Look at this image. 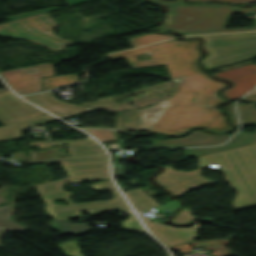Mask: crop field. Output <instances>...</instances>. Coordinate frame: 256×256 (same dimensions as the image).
Masks as SVG:
<instances>
[{
	"label": "crop field",
	"instance_id": "bc2a9ffb",
	"mask_svg": "<svg viewBox=\"0 0 256 256\" xmlns=\"http://www.w3.org/2000/svg\"><path fill=\"white\" fill-rule=\"evenodd\" d=\"M189 244L191 246H202V247H205L206 249H214L213 256H232L233 255V253L229 252L224 246V244L226 245L231 244V242L226 239L210 240V241H204V242L192 241V242H189ZM169 249L179 250L185 253H189L192 251L190 246L187 243L169 247Z\"/></svg>",
	"mask_w": 256,
	"mask_h": 256
},
{
	"label": "crop field",
	"instance_id": "cbeb9de0",
	"mask_svg": "<svg viewBox=\"0 0 256 256\" xmlns=\"http://www.w3.org/2000/svg\"><path fill=\"white\" fill-rule=\"evenodd\" d=\"M23 98L52 112L54 115H57L63 119L69 118L74 115H79V114L97 110V109L85 108V107L75 106L72 104L62 103L52 98L51 91L23 96Z\"/></svg>",
	"mask_w": 256,
	"mask_h": 256
},
{
	"label": "crop field",
	"instance_id": "d1516ede",
	"mask_svg": "<svg viewBox=\"0 0 256 256\" xmlns=\"http://www.w3.org/2000/svg\"><path fill=\"white\" fill-rule=\"evenodd\" d=\"M213 75L233 81L234 87L224 90L223 93L230 99L237 98L256 85V64L214 73Z\"/></svg>",
	"mask_w": 256,
	"mask_h": 256
},
{
	"label": "crop field",
	"instance_id": "e1f06a70",
	"mask_svg": "<svg viewBox=\"0 0 256 256\" xmlns=\"http://www.w3.org/2000/svg\"><path fill=\"white\" fill-rule=\"evenodd\" d=\"M96 150H97V154L104 152L103 148L100 146L96 147Z\"/></svg>",
	"mask_w": 256,
	"mask_h": 256
},
{
	"label": "crop field",
	"instance_id": "bd1437ed",
	"mask_svg": "<svg viewBox=\"0 0 256 256\" xmlns=\"http://www.w3.org/2000/svg\"><path fill=\"white\" fill-rule=\"evenodd\" d=\"M168 100L160 102L162 104V108H161L160 112L154 113V114H146V115H144L143 121L154 122L160 116V114L168 107L167 106Z\"/></svg>",
	"mask_w": 256,
	"mask_h": 256
},
{
	"label": "crop field",
	"instance_id": "0bd39190",
	"mask_svg": "<svg viewBox=\"0 0 256 256\" xmlns=\"http://www.w3.org/2000/svg\"><path fill=\"white\" fill-rule=\"evenodd\" d=\"M252 94H256V89L253 90L252 92H250L248 95H252ZM248 95H247V96H248Z\"/></svg>",
	"mask_w": 256,
	"mask_h": 256
},
{
	"label": "crop field",
	"instance_id": "5142ce71",
	"mask_svg": "<svg viewBox=\"0 0 256 256\" xmlns=\"http://www.w3.org/2000/svg\"><path fill=\"white\" fill-rule=\"evenodd\" d=\"M139 216L148 226L150 231L167 247L194 240L198 237L197 232L201 229L199 226L191 229H175L157 224L151 220H146L140 214Z\"/></svg>",
	"mask_w": 256,
	"mask_h": 256
},
{
	"label": "crop field",
	"instance_id": "dafd665d",
	"mask_svg": "<svg viewBox=\"0 0 256 256\" xmlns=\"http://www.w3.org/2000/svg\"><path fill=\"white\" fill-rule=\"evenodd\" d=\"M42 80H43L44 90L53 89L62 84L78 82L77 74L52 77V78H42Z\"/></svg>",
	"mask_w": 256,
	"mask_h": 256
},
{
	"label": "crop field",
	"instance_id": "d8731c3e",
	"mask_svg": "<svg viewBox=\"0 0 256 256\" xmlns=\"http://www.w3.org/2000/svg\"><path fill=\"white\" fill-rule=\"evenodd\" d=\"M69 178L36 184L40 195L61 191L60 184L84 181L108 179L107 155H100L89 158H72L59 160Z\"/></svg>",
	"mask_w": 256,
	"mask_h": 256
},
{
	"label": "crop field",
	"instance_id": "22f410ed",
	"mask_svg": "<svg viewBox=\"0 0 256 256\" xmlns=\"http://www.w3.org/2000/svg\"><path fill=\"white\" fill-rule=\"evenodd\" d=\"M24 103V100L18 98L12 92L0 93V120L6 124L42 114L45 112L31 106L23 108L20 105Z\"/></svg>",
	"mask_w": 256,
	"mask_h": 256
},
{
	"label": "crop field",
	"instance_id": "ae1a2a85",
	"mask_svg": "<svg viewBox=\"0 0 256 256\" xmlns=\"http://www.w3.org/2000/svg\"><path fill=\"white\" fill-rule=\"evenodd\" d=\"M171 222L175 224L192 222L189 209H181L177 216L171 220Z\"/></svg>",
	"mask_w": 256,
	"mask_h": 256
},
{
	"label": "crop field",
	"instance_id": "d3111659",
	"mask_svg": "<svg viewBox=\"0 0 256 256\" xmlns=\"http://www.w3.org/2000/svg\"><path fill=\"white\" fill-rule=\"evenodd\" d=\"M56 144H73L72 140H62V141H43V142H35L30 143L29 145H37L40 149H44L50 145Z\"/></svg>",
	"mask_w": 256,
	"mask_h": 256
},
{
	"label": "crop field",
	"instance_id": "1d83c4d3",
	"mask_svg": "<svg viewBox=\"0 0 256 256\" xmlns=\"http://www.w3.org/2000/svg\"><path fill=\"white\" fill-rule=\"evenodd\" d=\"M227 111H228V115H229V119H230L231 123L237 126L238 124H237V120H236V115H235V111H234V108H233V104L228 106Z\"/></svg>",
	"mask_w": 256,
	"mask_h": 256
},
{
	"label": "crop field",
	"instance_id": "4177f3b9",
	"mask_svg": "<svg viewBox=\"0 0 256 256\" xmlns=\"http://www.w3.org/2000/svg\"><path fill=\"white\" fill-rule=\"evenodd\" d=\"M129 215V218L123 222H121V225L124 230L126 231H144L142 228L139 220L136 218V216L133 214V212L127 213Z\"/></svg>",
	"mask_w": 256,
	"mask_h": 256
},
{
	"label": "crop field",
	"instance_id": "f4fd0767",
	"mask_svg": "<svg viewBox=\"0 0 256 256\" xmlns=\"http://www.w3.org/2000/svg\"><path fill=\"white\" fill-rule=\"evenodd\" d=\"M199 40L178 42L174 39L138 49L108 55L112 60L126 57L133 68L166 64L170 78L201 73L196 64L200 55L197 45ZM150 52L151 60L138 61L134 55Z\"/></svg>",
	"mask_w": 256,
	"mask_h": 256
},
{
	"label": "crop field",
	"instance_id": "dd49c442",
	"mask_svg": "<svg viewBox=\"0 0 256 256\" xmlns=\"http://www.w3.org/2000/svg\"><path fill=\"white\" fill-rule=\"evenodd\" d=\"M200 37L205 39L203 48L208 51V56L201 60L207 70L256 57V31Z\"/></svg>",
	"mask_w": 256,
	"mask_h": 256
},
{
	"label": "crop field",
	"instance_id": "92a150f3",
	"mask_svg": "<svg viewBox=\"0 0 256 256\" xmlns=\"http://www.w3.org/2000/svg\"><path fill=\"white\" fill-rule=\"evenodd\" d=\"M14 208L15 206L13 204L0 207V225L8 230L22 231L27 227L22 226L10 219V215Z\"/></svg>",
	"mask_w": 256,
	"mask_h": 256
},
{
	"label": "crop field",
	"instance_id": "412701ff",
	"mask_svg": "<svg viewBox=\"0 0 256 256\" xmlns=\"http://www.w3.org/2000/svg\"><path fill=\"white\" fill-rule=\"evenodd\" d=\"M94 191H111L114 198L108 201H94L84 204H74L68 197L71 193L61 191L57 193L41 196L45 201L44 208L47 214L54 218V221L48 226L60 232V234H72L80 236L94 228L87 226V223L71 224L67 218L82 217L79 212L87 210L91 216H95L104 211H130V208L124 201L123 197L111 182V180L90 185ZM55 199H65L69 205L54 204ZM88 213V214H89Z\"/></svg>",
	"mask_w": 256,
	"mask_h": 256
},
{
	"label": "crop field",
	"instance_id": "5866460e",
	"mask_svg": "<svg viewBox=\"0 0 256 256\" xmlns=\"http://www.w3.org/2000/svg\"><path fill=\"white\" fill-rule=\"evenodd\" d=\"M71 5L74 4H78V3H82V2H86V1H90V0H67Z\"/></svg>",
	"mask_w": 256,
	"mask_h": 256
},
{
	"label": "crop field",
	"instance_id": "eef30255",
	"mask_svg": "<svg viewBox=\"0 0 256 256\" xmlns=\"http://www.w3.org/2000/svg\"><path fill=\"white\" fill-rule=\"evenodd\" d=\"M59 247L64 251L68 256H82L80 254V248L77 245L76 241H68L59 244Z\"/></svg>",
	"mask_w": 256,
	"mask_h": 256
},
{
	"label": "crop field",
	"instance_id": "730fd06b",
	"mask_svg": "<svg viewBox=\"0 0 256 256\" xmlns=\"http://www.w3.org/2000/svg\"><path fill=\"white\" fill-rule=\"evenodd\" d=\"M71 157L95 155V147L68 146Z\"/></svg>",
	"mask_w": 256,
	"mask_h": 256
},
{
	"label": "crop field",
	"instance_id": "d32e631a",
	"mask_svg": "<svg viewBox=\"0 0 256 256\" xmlns=\"http://www.w3.org/2000/svg\"><path fill=\"white\" fill-rule=\"evenodd\" d=\"M187 1H197V0H187ZM218 1H224V2H230V3H248L249 0H218ZM256 1V0H253Z\"/></svg>",
	"mask_w": 256,
	"mask_h": 256
},
{
	"label": "crop field",
	"instance_id": "d9b57169",
	"mask_svg": "<svg viewBox=\"0 0 256 256\" xmlns=\"http://www.w3.org/2000/svg\"><path fill=\"white\" fill-rule=\"evenodd\" d=\"M229 138V135H210L201 131H195L188 137L181 139H168L152 141L154 147H177V146H195V145H217Z\"/></svg>",
	"mask_w": 256,
	"mask_h": 256
},
{
	"label": "crop field",
	"instance_id": "120bbe31",
	"mask_svg": "<svg viewBox=\"0 0 256 256\" xmlns=\"http://www.w3.org/2000/svg\"><path fill=\"white\" fill-rule=\"evenodd\" d=\"M74 144H80V145H88L93 146L97 145V143L94 141L93 138L86 139V140H73Z\"/></svg>",
	"mask_w": 256,
	"mask_h": 256
},
{
	"label": "crop field",
	"instance_id": "5a996713",
	"mask_svg": "<svg viewBox=\"0 0 256 256\" xmlns=\"http://www.w3.org/2000/svg\"><path fill=\"white\" fill-rule=\"evenodd\" d=\"M243 101L256 102V95L246 97ZM240 121L242 126L256 125V107L254 104L237 105ZM256 143V134H246L239 132L234 136L226 145L215 148H198V149H185L186 155L191 157H199L207 154H212L248 144Z\"/></svg>",
	"mask_w": 256,
	"mask_h": 256
},
{
	"label": "crop field",
	"instance_id": "28ad6ade",
	"mask_svg": "<svg viewBox=\"0 0 256 256\" xmlns=\"http://www.w3.org/2000/svg\"><path fill=\"white\" fill-rule=\"evenodd\" d=\"M198 173H200V169L191 172H183L173 171L170 166H165L163 172L155 176L154 179L172 195L178 197L200 186L216 183L198 176Z\"/></svg>",
	"mask_w": 256,
	"mask_h": 256
},
{
	"label": "crop field",
	"instance_id": "028f5c9d",
	"mask_svg": "<svg viewBox=\"0 0 256 256\" xmlns=\"http://www.w3.org/2000/svg\"><path fill=\"white\" fill-rule=\"evenodd\" d=\"M6 232H7L6 229H4V228H1V229H0V239H1L2 235H3L4 233H6ZM0 247H1V243H0Z\"/></svg>",
	"mask_w": 256,
	"mask_h": 256
},
{
	"label": "crop field",
	"instance_id": "750c4746",
	"mask_svg": "<svg viewBox=\"0 0 256 256\" xmlns=\"http://www.w3.org/2000/svg\"><path fill=\"white\" fill-rule=\"evenodd\" d=\"M54 9H58V8L55 7V8L44 9V10H39V11H33V12H28V13H22V14H18V15H16V16L6 17V19H8L9 21H12V20H16V19H20V18H24V17H28V16L40 14V13H44V12L51 11V10H54Z\"/></svg>",
	"mask_w": 256,
	"mask_h": 256
},
{
	"label": "crop field",
	"instance_id": "a9b5d70f",
	"mask_svg": "<svg viewBox=\"0 0 256 256\" xmlns=\"http://www.w3.org/2000/svg\"><path fill=\"white\" fill-rule=\"evenodd\" d=\"M88 133L92 134L96 139L101 142L104 141H117L116 137L111 130H102V129H83Z\"/></svg>",
	"mask_w": 256,
	"mask_h": 256
},
{
	"label": "crop field",
	"instance_id": "e52e79f7",
	"mask_svg": "<svg viewBox=\"0 0 256 256\" xmlns=\"http://www.w3.org/2000/svg\"><path fill=\"white\" fill-rule=\"evenodd\" d=\"M56 23L47 14H40L0 24V35L22 38L47 48L60 51L73 42L59 38L52 33Z\"/></svg>",
	"mask_w": 256,
	"mask_h": 256
},
{
	"label": "crop field",
	"instance_id": "4a817a6b",
	"mask_svg": "<svg viewBox=\"0 0 256 256\" xmlns=\"http://www.w3.org/2000/svg\"><path fill=\"white\" fill-rule=\"evenodd\" d=\"M124 194L130 201L135 211H140L152 207H154L157 211H160L166 209H176L178 206V202L173 200H170L167 203L159 205L156 203V200L144 194L141 188L125 191Z\"/></svg>",
	"mask_w": 256,
	"mask_h": 256
},
{
	"label": "crop field",
	"instance_id": "214f88e0",
	"mask_svg": "<svg viewBox=\"0 0 256 256\" xmlns=\"http://www.w3.org/2000/svg\"><path fill=\"white\" fill-rule=\"evenodd\" d=\"M56 119L51 115H46L10 125L0 127V140L14 139L21 136L20 131L34 124H42L48 120Z\"/></svg>",
	"mask_w": 256,
	"mask_h": 256
},
{
	"label": "crop field",
	"instance_id": "34b2d1b8",
	"mask_svg": "<svg viewBox=\"0 0 256 256\" xmlns=\"http://www.w3.org/2000/svg\"><path fill=\"white\" fill-rule=\"evenodd\" d=\"M199 168L207 167L225 174L238 191L235 209L256 205V144L199 157Z\"/></svg>",
	"mask_w": 256,
	"mask_h": 256
},
{
	"label": "crop field",
	"instance_id": "733c2abd",
	"mask_svg": "<svg viewBox=\"0 0 256 256\" xmlns=\"http://www.w3.org/2000/svg\"><path fill=\"white\" fill-rule=\"evenodd\" d=\"M161 104L151 105L141 110H129L120 113L116 121L119 130H147L152 123L142 122L143 114L154 113L160 110Z\"/></svg>",
	"mask_w": 256,
	"mask_h": 256
},
{
	"label": "crop field",
	"instance_id": "00972430",
	"mask_svg": "<svg viewBox=\"0 0 256 256\" xmlns=\"http://www.w3.org/2000/svg\"><path fill=\"white\" fill-rule=\"evenodd\" d=\"M170 37H174V36L150 33V34H145V35H141V36L131 37V38H129V40H130L132 46L136 47V46L148 44L151 42H155V41L170 38Z\"/></svg>",
	"mask_w": 256,
	"mask_h": 256
},
{
	"label": "crop field",
	"instance_id": "8a807250",
	"mask_svg": "<svg viewBox=\"0 0 256 256\" xmlns=\"http://www.w3.org/2000/svg\"><path fill=\"white\" fill-rule=\"evenodd\" d=\"M224 83L216 82L204 73L181 78L169 107L148 131L181 135L192 126H202L217 132L232 129L224 123L222 113L215 109L223 100L216 95Z\"/></svg>",
	"mask_w": 256,
	"mask_h": 256
},
{
	"label": "crop field",
	"instance_id": "ac0d7876",
	"mask_svg": "<svg viewBox=\"0 0 256 256\" xmlns=\"http://www.w3.org/2000/svg\"><path fill=\"white\" fill-rule=\"evenodd\" d=\"M150 1L168 7L166 18L158 27L160 31H179L182 35H189L256 29V18H254V28L224 29L231 12L248 13L250 10H256V7L240 8L207 3L186 4L182 0Z\"/></svg>",
	"mask_w": 256,
	"mask_h": 256
},
{
	"label": "crop field",
	"instance_id": "3316defc",
	"mask_svg": "<svg viewBox=\"0 0 256 256\" xmlns=\"http://www.w3.org/2000/svg\"><path fill=\"white\" fill-rule=\"evenodd\" d=\"M26 70H29V72L26 73ZM0 75L14 91L21 94L42 90L40 77L51 76L54 74L51 63L49 62L0 72Z\"/></svg>",
	"mask_w": 256,
	"mask_h": 256
}]
</instances>
